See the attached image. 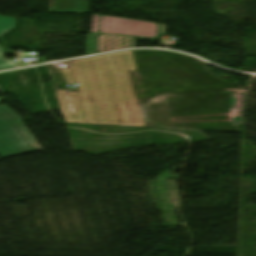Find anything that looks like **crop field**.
<instances>
[{"label": "crop field", "mask_w": 256, "mask_h": 256, "mask_svg": "<svg viewBox=\"0 0 256 256\" xmlns=\"http://www.w3.org/2000/svg\"><path fill=\"white\" fill-rule=\"evenodd\" d=\"M168 25L92 14L90 32L153 38Z\"/></svg>", "instance_id": "obj_3"}, {"label": "crop field", "mask_w": 256, "mask_h": 256, "mask_svg": "<svg viewBox=\"0 0 256 256\" xmlns=\"http://www.w3.org/2000/svg\"><path fill=\"white\" fill-rule=\"evenodd\" d=\"M23 121L7 104L0 105L1 158L42 150Z\"/></svg>", "instance_id": "obj_2"}, {"label": "crop field", "mask_w": 256, "mask_h": 256, "mask_svg": "<svg viewBox=\"0 0 256 256\" xmlns=\"http://www.w3.org/2000/svg\"><path fill=\"white\" fill-rule=\"evenodd\" d=\"M136 38L99 34L97 53L135 47Z\"/></svg>", "instance_id": "obj_6"}, {"label": "crop field", "mask_w": 256, "mask_h": 256, "mask_svg": "<svg viewBox=\"0 0 256 256\" xmlns=\"http://www.w3.org/2000/svg\"><path fill=\"white\" fill-rule=\"evenodd\" d=\"M98 34H87L86 36V55L96 53Z\"/></svg>", "instance_id": "obj_8"}, {"label": "crop field", "mask_w": 256, "mask_h": 256, "mask_svg": "<svg viewBox=\"0 0 256 256\" xmlns=\"http://www.w3.org/2000/svg\"><path fill=\"white\" fill-rule=\"evenodd\" d=\"M114 106L81 101L73 122L110 124Z\"/></svg>", "instance_id": "obj_4"}, {"label": "crop field", "mask_w": 256, "mask_h": 256, "mask_svg": "<svg viewBox=\"0 0 256 256\" xmlns=\"http://www.w3.org/2000/svg\"><path fill=\"white\" fill-rule=\"evenodd\" d=\"M16 18L3 17L0 16V36L7 33L9 30L15 27ZM2 48L0 47V70L10 69L17 67L13 60H7L2 53Z\"/></svg>", "instance_id": "obj_7"}, {"label": "crop field", "mask_w": 256, "mask_h": 256, "mask_svg": "<svg viewBox=\"0 0 256 256\" xmlns=\"http://www.w3.org/2000/svg\"><path fill=\"white\" fill-rule=\"evenodd\" d=\"M73 68L63 69L69 83L78 81L80 91L95 88L98 102L113 104L131 100L132 94L126 70H137L132 52H123L71 61Z\"/></svg>", "instance_id": "obj_1"}, {"label": "crop field", "mask_w": 256, "mask_h": 256, "mask_svg": "<svg viewBox=\"0 0 256 256\" xmlns=\"http://www.w3.org/2000/svg\"><path fill=\"white\" fill-rule=\"evenodd\" d=\"M90 0H50L51 13H88Z\"/></svg>", "instance_id": "obj_5"}]
</instances>
